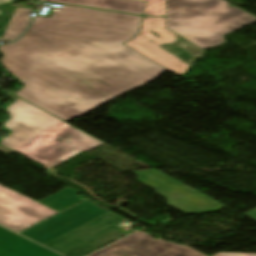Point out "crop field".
<instances>
[{
  "instance_id": "1",
  "label": "crop field",
  "mask_w": 256,
  "mask_h": 256,
  "mask_svg": "<svg viewBox=\"0 0 256 256\" xmlns=\"http://www.w3.org/2000/svg\"><path fill=\"white\" fill-rule=\"evenodd\" d=\"M52 10L51 18L36 16L20 40L0 46V63L24 86L14 93L21 99L68 122L165 70L123 45L143 17L68 5Z\"/></svg>"
},
{
  "instance_id": "2",
  "label": "crop field",
  "mask_w": 256,
  "mask_h": 256,
  "mask_svg": "<svg viewBox=\"0 0 256 256\" xmlns=\"http://www.w3.org/2000/svg\"><path fill=\"white\" fill-rule=\"evenodd\" d=\"M3 94L15 98L6 109L10 118L4 124L12 134L0 139V152L8 156L16 151L51 168L104 143L9 93Z\"/></svg>"
},
{
  "instance_id": "3",
  "label": "crop field",
  "mask_w": 256,
  "mask_h": 256,
  "mask_svg": "<svg viewBox=\"0 0 256 256\" xmlns=\"http://www.w3.org/2000/svg\"><path fill=\"white\" fill-rule=\"evenodd\" d=\"M256 17L224 0H166V28L205 49L224 43L221 36L245 27Z\"/></svg>"
},
{
  "instance_id": "4",
  "label": "crop field",
  "mask_w": 256,
  "mask_h": 256,
  "mask_svg": "<svg viewBox=\"0 0 256 256\" xmlns=\"http://www.w3.org/2000/svg\"><path fill=\"white\" fill-rule=\"evenodd\" d=\"M121 220L123 218L109 212L45 246L66 256H84L124 236L126 232L116 225Z\"/></svg>"
},
{
  "instance_id": "5",
  "label": "crop field",
  "mask_w": 256,
  "mask_h": 256,
  "mask_svg": "<svg viewBox=\"0 0 256 256\" xmlns=\"http://www.w3.org/2000/svg\"><path fill=\"white\" fill-rule=\"evenodd\" d=\"M179 39L180 36L165 28V18L144 17L139 34L124 45L179 76L189 65L154 45H174Z\"/></svg>"
},
{
  "instance_id": "6",
  "label": "crop field",
  "mask_w": 256,
  "mask_h": 256,
  "mask_svg": "<svg viewBox=\"0 0 256 256\" xmlns=\"http://www.w3.org/2000/svg\"><path fill=\"white\" fill-rule=\"evenodd\" d=\"M137 181L157 191L167 199L168 205L186 213L217 211L224 205L154 171H135Z\"/></svg>"
},
{
  "instance_id": "7",
  "label": "crop field",
  "mask_w": 256,
  "mask_h": 256,
  "mask_svg": "<svg viewBox=\"0 0 256 256\" xmlns=\"http://www.w3.org/2000/svg\"><path fill=\"white\" fill-rule=\"evenodd\" d=\"M91 256H205L186 245L172 244L137 231Z\"/></svg>"
},
{
  "instance_id": "8",
  "label": "crop field",
  "mask_w": 256,
  "mask_h": 256,
  "mask_svg": "<svg viewBox=\"0 0 256 256\" xmlns=\"http://www.w3.org/2000/svg\"><path fill=\"white\" fill-rule=\"evenodd\" d=\"M105 213L107 211L85 201L21 233V235L44 245Z\"/></svg>"
},
{
  "instance_id": "9",
  "label": "crop field",
  "mask_w": 256,
  "mask_h": 256,
  "mask_svg": "<svg viewBox=\"0 0 256 256\" xmlns=\"http://www.w3.org/2000/svg\"><path fill=\"white\" fill-rule=\"evenodd\" d=\"M55 213L0 185V225L18 232Z\"/></svg>"
},
{
  "instance_id": "10",
  "label": "crop field",
  "mask_w": 256,
  "mask_h": 256,
  "mask_svg": "<svg viewBox=\"0 0 256 256\" xmlns=\"http://www.w3.org/2000/svg\"><path fill=\"white\" fill-rule=\"evenodd\" d=\"M0 256H60L0 227Z\"/></svg>"
},
{
  "instance_id": "11",
  "label": "crop field",
  "mask_w": 256,
  "mask_h": 256,
  "mask_svg": "<svg viewBox=\"0 0 256 256\" xmlns=\"http://www.w3.org/2000/svg\"><path fill=\"white\" fill-rule=\"evenodd\" d=\"M11 12L10 16L0 18V37L13 41L28 27L31 17H28L31 9L6 6Z\"/></svg>"
},
{
  "instance_id": "12",
  "label": "crop field",
  "mask_w": 256,
  "mask_h": 256,
  "mask_svg": "<svg viewBox=\"0 0 256 256\" xmlns=\"http://www.w3.org/2000/svg\"><path fill=\"white\" fill-rule=\"evenodd\" d=\"M143 14L146 2L135 0H46Z\"/></svg>"
},
{
  "instance_id": "13",
  "label": "crop field",
  "mask_w": 256,
  "mask_h": 256,
  "mask_svg": "<svg viewBox=\"0 0 256 256\" xmlns=\"http://www.w3.org/2000/svg\"><path fill=\"white\" fill-rule=\"evenodd\" d=\"M185 63L192 65L195 59L201 58L203 56L204 51L200 50L196 46L188 43L182 37L177 44L174 46H162L157 45Z\"/></svg>"
},
{
  "instance_id": "14",
  "label": "crop field",
  "mask_w": 256,
  "mask_h": 256,
  "mask_svg": "<svg viewBox=\"0 0 256 256\" xmlns=\"http://www.w3.org/2000/svg\"><path fill=\"white\" fill-rule=\"evenodd\" d=\"M77 193L79 192L72 188H66L38 202L59 212L66 207L82 200L80 197L76 196Z\"/></svg>"
},
{
  "instance_id": "15",
  "label": "crop field",
  "mask_w": 256,
  "mask_h": 256,
  "mask_svg": "<svg viewBox=\"0 0 256 256\" xmlns=\"http://www.w3.org/2000/svg\"><path fill=\"white\" fill-rule=\"evenodd\" d=\"M143 1H147L144 15L165 16V0Z\"/></svg>"
},
{
  "instance_id": "16",
  "label": "crop field",
  "mask_w": 256,
  "mask_h": 256,
  "mask_svg": "<svg viewBox=\"0 0 256 256\" xmlns=\"http://www.w3.org/2000/svg\"><path fill=\"white\" fill-rule=\"evenodd\" d=\"M243 215L252 219V220H254L256 222V208L247 212V213H245V214H243Z\"/></svg>"
},
{
  "instance_id": "17",
  "label": "crop field",
  "mask_w": 256,
  "mask_h": 256,
  "mask_svg": "<svg viewBox=\"0 0 256 256\" xmlns=\"http://www.w3.org/2000/svg\"><path fill=\"white\" fill-rule=\"evenodd\" d=\"M214 256H242L238 253H224V252H219L215 254ZM256 256V255H255Z\"/></svg>"
},
{
  "instance_id": "18",
  "label": "crop field",
  "mask_w": 256,
  "mask_h": 256,
  "mask_svg": "<svg viewBox=\"0 0 256 256\" xmlns=\"http://www.w3.org/2000/svg\"><path fill=\"white\" fill-rule=\"evenodd\" d=\"M13 2V0H0V4H4V3H10ZM4 14L3 12L0 11V15Z\"/></svg>"
},
{
  "instance_id": "19",
  "label": "crop field",
  "mask_w": 256,
  "mask_h": 256,
  "mask_svg": "<svg viewBox=\"0 0 256 256\" xmlns=\"http://www.w3.org/2000/svg\"><path fill=\"white\" fill-rule=\"evenodd\" d=\"M242 254V253H241ZM243 255H245V256H252V254H243Z\"/></svg>"
}]
</instances>
